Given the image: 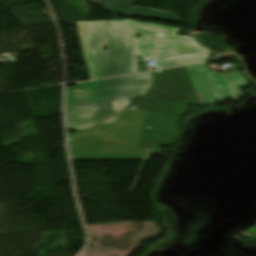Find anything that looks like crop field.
<instances>
[{"instance_id":"5a996713","label":"crop field","mask_w":256,"mask_h":256,"mask_svg":"<svg viewBox=\"0 0 256 256\" xmlns=\"http://www.w3.org/2000/svg\"><path fill=\"white\" fill-rule=\"evenodd\" d=\"M226 76L238 95L243 94L240 88L248 86L243 74L241 72H234L228 73Z\"/></svg>"},{"instance_id":"8a807250","label":"crop field","mask_w":256,"mask_h":256,"mask_svg":"<svg viewBox=\"0 0 256 256\" xmlns=\"http://www.w3.org/2000/svg\"><path fill=\"white\" fill-rule=\"evenodd\" d=\"M77 25L92 80L138 72V56L155 60L156 70L203 62L209 56L193 37L176 36L178 28L132 20ZM135 31L142 32L140 39Z\"/></svg>"},{"instance_id":"e52e79f7","label":"crop field","mask_w":256,"mask_h":256,"mask_svg":"<svg viewBox=\"0 0 256 256\" xmlns=\"http://www.w3.org/2000/svg\"><path fill=\"white\" fill-rule=\"evenodd\" d=\"M147 153L104 145L72 155V159H144Z\"/></svg>"},{"instance_id":"3316defc","label":"crop field","mask_w":256,"mask_h":256,"mask_svg":"<svg viewBox=\"0 0 256 256\" xmlns=\"http://www.w3.org/2000/svg\"><path fill=\"white\" fill-rule=\"evenodd\" d=\"M104 143H108V144H112V145H116V146H121V147H126V148H131V149H136V150L145 151V152L148 151V150H145V149H140V148H136V147H132V146H128V145H123V144H118V143H112V142H109V141H104Z\"/></svg>"},{"instance_id":"d8731c3e","label":"crop field","mask_w":256,"mask_h":256,"mask_svg":"<svg viewBox=\"0 0 256 256\" xmlns=\"http://www.w3.org/2000/svg\"><path fill=\"white\" fill-rule=\"evenodd\" d=\"M103 144V141L96 133L87 134L69 141L71 155Z\"/></svg>"},{"instance_id":"f4fd0767","label":"crop field","mask_w":256,"mask_h":256,"mask_svg":"<svg viewBox=\"0 0 256 256\" xmlns=\"http://www.w3.org/2000/svg\"><path fill=\"white\" fill-rule=\"evenodd\" d=\"M185 68L190 76L196 95L201 104H205L202 96H204L208 105L216 104L212 95L213 91L217 99L233 97L234 100H237L224 76L217 73H211L207 64L188 66ZM211 90L213 91L211 92Z\"/></svg>"},{"instance_id":"dd49c442","label":"crop field","mask_w":256,"mask_h":256,"mask_svg":"<svg viewBox=\"0 0 256 256\" xmlns=\"http://www.w3.org/2000/svg\"><path fill=\"white\" fill-rule=\"evenodd\" d=\"M103 7L104 10L125 16H138L157 20L180 23V15L138 8L134 5L138 0H87Z\"/></svg>"},{"instance_id":"34b2d1b8","label":"crop field","mask_w":256,"mask_h":256,"mask_svg":"<svg viewBox=\"0 0 256 256\" xmlns=\"http://www.w3.org/2000/svg\"><path fill=\"white\" fill-rule=\"evenodd\" d=\"M180 106L179 103L136 96L129 107L151 111L142 140L148 112L131 108H126L116 122L74 132L68 135V139L97 131L104 139L135 146L152 148L155 142L172 145L179 136L178 120L182 114L175 112Z\"/></svg>"},{"instance_id":"412701ff","label":"crop field","mask_w":256,"mask_h":256,"mask_svg":"<svg viewBox=\"0 0 256 256\" xmlns=\"http://www.w3.org/2000/svg\"><path fill=\"white\" fill-rule=\"evenodd\" d=\"M180 95L196 98L183 67L154 72V84L146 96L199 106L196 103L174 99L177 97L196 101L195 99L179 97Z\"/></svg>"},{"instance_id":"ac0d7876","label":"crop field","mask_w":256,"mask_h":256,"mask_svg":"<svg viewBox=\"0 0 256 256\" xmlns=\"http://www.w3.org/2000/svg\"><path fill=\"white\" fill-rule=\"evenodd\" d=\"M153 73H145L103 81L76 84L66 89V122L68 129L81 131L116 121L137 95H145L152 85Z\"/></svg>"}]
</instances>
